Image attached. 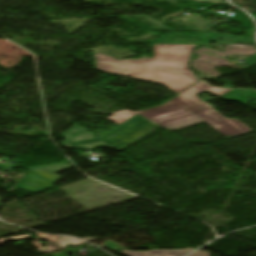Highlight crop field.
<instances>
[{"instance_id": "ac0d7876", "label": "crop field", "mask_w": 256, "mask_h": 256, "mask_svg": "<svg viewBox=\"0 0 256 256\" xmlns=\"http://www.w3.org/2000/svg\"><path fill=\"white\" fill-rule=\"evenodd\" d=\"M194 47L195 45L153 44L154 57L140 60L119 61L95 53L96 69L161 83L173 92L179 93L199 80L187 65Z\"/></svg>"}, {"instance_id": "34b2d1b8", "label": "crop field", "mask_w": 256, "mask_h": 256, "mask_svg": "<svg viewBox=\"0 0 256 256\" xmlns=\"http://www.w3.org/2000/svg\"><path fill=\"white\" fill-rule=\"evenodd\" d=\"M192 248L186 250H150L147 252H137V251H122L123 253L128 256H182Z\"/></svg>"}, {"instance_id": "d8731c3e", "label": "crop field", "mask_w": 256, "mask_h": 256, "mask_svg": "<svg viewBox=\"0 0 256 256\" xmlns=\"http://www.w3.org/2000/svg\"><path fill=\"white\" fill-rule=\"evenodd\" d=\"M247 60H249V61L246 62V63H244V64H246V65H248V66H250V65H252V64H254V63H256V55H254V56L248 58Z\"/></svg>"}, {"instance_id": "f4fd0767", "label": "crop field", "mask_w": 256, "mask_h": 256, "mask_svg": "<svg viewBox=\"0 0 256 256\" xmlns=\"http://www.w3.org/2000/svg\"><path fill=\"white\" fill-rule=\"evenodd\" d=\"M227 99H231V100H235V101H239V102H244V103H247L249 101H251L252 99L250 98H247L245 96H242V95H238V94H234V93H229L225 96H223Z\"/></svg>"}, {"instance_id": "dd49c442", "label": "crop field", "mask_w": 256, "mask_h": 256, "mask_svg": "<svg viewBox=\"0 0 256 256\" xmlns=\"http://www.w3.org/2000/svg\"><path fill=\"white\" fill-rule=\"evenodd\" d=\"M233 92H237L240 94H244V95H248L251 97H255L256 98V91H248V90H235Z\"/></svg>"}, {"instance_id": "412701ff", "label": "crop field", "mask_w": 256, "mask_h": 256, "mask_svg": "<svg viewBox=\"0 0 256 256\" xmlns=\"http://www.w3.org/2000/svg\"><path fill=\"white\" fill-rule=\"evenodd\" d=\"M42 168H45L53 173H56L58 171H61L63 169H66V168H69L71 167V165H66V164H52V165H49V166H40Z\"/></svg>"}, {"instance_id": "8a807250", "label": "crop field", "mask_w": 256, "mask_h": 256, "mask_svg": "<svg viewBox=\"0 0 256 256\" xmlns=\"http://www.w3.org/2000/svg\"><path fill=\"white\" fill-rule=\"evenodd\" d=\"M206 90L222 95L232 89L211 87L199 81L165 105L140 113L131 110L117 111L107 119L120 124L138 113L169 131L205 121L226 138L251 131L236 119L223 118L213 111V106L194 96Z\"/></svg>"}, {"instance_id": "e52e79f7", "label": "crop field", "mask_w": 256, "mask_h": 256, "mask_svg": "<svg viewBox=\"0 0 256 256\" xmlns=\"http://www.w3.org/2000/svg\"><path fill=\"white\" fill-rule=\"evenodd\" d=\"M211 253L207 251H198L190 256H210Z\"/></svg>"}]
</instances>
